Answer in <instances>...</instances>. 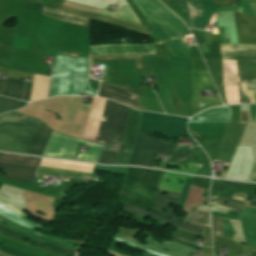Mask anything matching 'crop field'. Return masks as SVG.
I'll return each instance as SVG.
<instances>
[{
  "label": "crop field",
  "mask_w": 256,
  "mask_h": 256,
  "mask_svg": "<svg viewBox=\"0 0 256 256\" xmlns=\"http://www.w3.org/2000/svg\"><path fill=\"white\" fill-rule=\"evenodd\" d=\"M5 83H6L5 80H0V94H2V95L4 93Z\"/></svg>",
  "instance_id": "425ffa30"
},
{
  "label": "crop field",
  "mask_w": 256,
  "mask_h": 256,
  "mask_svg": "<svg viewBox=\"0 0 256 256\" xmlns=\"http://www.w3.org/2000/svg\"><path fill=\"white\" fill-rule=\"evenodd\" d=\"M223 59L237 60V58L256 59V46L221 44Z\"/></svg>",
  "instance_id": "bc2a9ffb"
},
{
  "label": "crop field",
  "mask_w": 256,
  "mask_h": 256,
  "mask_svg": "<svg viewBox=\"0 0 256 256\" xmlns=\"http://www.w3.org/2000/svg\"><path fill=\"white\" fill-rule=\"evenodd\" d=\"M0 241L7 243L9 245L15 246L17 248H20L22 250L28 251L30 253L39 255V256H60V255H56L38 248H35L33 246H30L26 243H23L21 241L15 240L13 238L7 237L5 235L0 234Z\"/></svg>",
  "instance_id": "ae1a2a85"
},
{
  "label": "crop field",
  "mask_w": 256,
  "mask_h": 256,
  "mask_svg": "<svg viewBox=\"0 0 256 256\" xmlns=\"http://www.w3.org/2000/svg\"><path fill=\"white\" fill-rule=\"evenodd\" d=\"M44 15L89 27V20H87V19L79 18L80 16L76 17L71 14L61 12V11H58L55 9H51L48 7L46 8Z\"/></svg>",
  "instance_id": "d3111659"
},
{
  "label": "crop field",
  "mask_w": 256,
  "mask_h": 256,
  "mask_svg": "<svg viewBox=\"0 0 256 256\" xmlns=\"http://www.w3.org/2000/svg\"><path fill=\"white\" fill-rule=\"evenodd\" d=\"M125 210H128L130 212H133V213H136V214H139L141 216H144V217H147L150 213V211H147L145 209H142V208H139V207H136V206H133L131 204H126Z\"/></svg>",
  "instance_id": "c035e120"
},
{
  "label": "crop field",
  "mask_w": 256,
  "mask_h": 256,
  "mask_svg": "<svg viewBox=\"0 0 256 256\" xmlns=\"http://www.w3.org/2000/svg\"><path fill=\"white\" fill-rule=\"evenodd\" d=\"M130 109L108 100L96 141L121 144ZM119 147L120 145L106 144L104 151L118 152ZM117 154L103 152L99 163L114 164Z\"/></svg>",
  "instance_id": "34b2d1b8"
},
{
  "label": "crop field",
  "mask_w": 256,
  "mask_h": 256,
  "mask_svg": "<svg viewBox=\"0 0 256 256\" xmlns=\"http://www.w3.org/2000/svg\"><path fill=\"white\" fill-rule=\"evenodd\" d=\"M173 235H175L177 237L187 238V239H190L195 242H196V237H197V235H195V234H189V233H183V232H177V231H174Z\"/></svg>",
  "instance_id": "c21b1889"
},
{
  "label": "crop field",
  "mask_w": 256,
  "mask_h": 256,
  "mask_svg": "<svg viewBox=\"0 0 256 256\" xmlns=\"http://www.w3.org/2000/svg\"><path fill=\"white\" fill-rule=\"evenodd\" d=\"M151 217L153 218H156L160 221H163V222H169L177 227H181V228H185V229H189V230H193V231H197V232H201L203 233L204 232V228L203 226H197V225H191V224H185V223H180L178 221H175L173 219H170L168 217H165V216H162L160 214H157L155 212L152 213Z\"/></svg>",
  "instance_id": "028f5c9d"
},
{
  "label": "crop field",
  "mask_w": 256,
  "mask_h": 256,
  "mask_svg": "<svg viewBox=\"0 0 256 256\" xmlns=\"http://www.w3.org/2000/svg\"><path fill=\"white\" fill-rule=\"evenodd\" d=\"M90 69V59H68L58 56L50 97L57 95H81L82 91L96 95L98 91L92 90L88 82V71Z\"/></svg>",
  "instance_id": "ac0d7876"
},
{
  "label": "crop field",
  "mask_w": 256,
  "mask_h": 256,
  "mask_svg": "<svg viewBox=\"0 0 256 256\" xmlns=\"http://www.w3.org/2000/svg\"><path fill=\"white\" fill-rule=\"evenodd\" d=\"M171 125L169 122H143L141 131L152 136H155V131L162 133L166 137L172 139L169 142L177 144L176 137H186L182 127H186L187 123L172 122ZM156 137V136H155ZM178 145V144H177Z\"/></svg>",
  "instance_id": "cbeb9de0"
},
{
  "label": "crop field",
  "mask_w": 256,
  "mask_h": 256,
  "mask_svg": "<svg viewBox=\"0 0 256 256\" xmlns=\"http://www.w3.org/2000/svg\"><path fill=\"white\" fill-rule=\"evenodd\" d=\"M246 123H229L222 139V142L217 150L216 158L224 160L227 162H231L241 135L243 133L244 127Z\"/></svg>",
  "instance_id": "3316defc"
},
{
  "label": "crop field",
  "mask_w": 256,
  "mask_h": 256,
  "mask_svg": "<svg viewBox=\"0 0 256 256\" xmlns=\"http://www.w3.org/2000/svg\"><path fill=\"white\" fill-rule=\"evenodd\" d=\"M148 21L159 31L168 49L179 57H189L182 42L183 33L191 34L184 22L159 0H134ZM138 7V8H139Z\"/></svg>",
  "instance_id": "8a807250"
},
{
  "label": "crop field",
  "mask_w": 256,
  "mask_h": 256,
  "mask_svg": "<svg viewBox=\"0 0 256 256\" xmlns=\"http://www.w3.org/2000/svg\"><path fill=\"white\" fill-rule=\"evenodd\" d=\"M212 79L208 71H193V63H190V87L202 90L210 86Z\"/></svg>",
  "instance_id": "eef30255"
},
{
  "label": "crop field",
  "mask_w": 256,
  "mask_h": 256,
  "mask_svg": "<svg viewBox=\"0 0 256 256\" xmlns=\"http://www.w3.org/2000/svg\"><path fill=\"white\" fill-rule=\"evenodd\" d=\"M52 133L39 126L27 153L42 155Z\"/></svg>",
  "instance_id": "4177f3b9"
},
{
  "label": "crop field",
  "mask_w": 256,
  "mask_h": 256,
  "mask_svg": "<svg viewBox=\"0 0 256 256\" xmlns=\"http://www.w3.org/2000/svg\"><path fill=\"white\" fill-rule=\"evenodd\" d=\"M191 182H192V180H189V179L186 180V184H185L183 194H182L180 204H179L182 207L184 206L186 197L188 195V192H189V189L191 186ZM163 191H165V190H161V189L158 190L155 200L153 202L156 205L155 206L152 205L150 207V210H153L155 212L161 213L163 215L169 216L171 218L177 219L182 222L184 217H182V218L176 217V215L173 213V209L168 207L171 202L178 205L181 194L169 191L170 194L167 196L160 195ZM163 208H166L169 211V213L166 214L164 212Z\"/></svg>",
  "instance_id": "28ad6ade"
},
{
  "label": "crop field",
  "mask_w": 256,
  "mask_h": 256,
  "mask_svg": "<svg viewBox=\"0 0 256 256\" xmlns=\"http://www.w3.org/2000/svg\"><path fill=\"white\" fill-rule=\"evenodd\" d=\"M21 102L22 101H18V100L0 96V113L9 111V110L22 108V107H20ZM23 103H25V102H23ZM25 104H27V103H25Z\"/></svg>",
  "instance_id": "0bd39190"
},
{
  "label": "crop field",
  "mask_w": 256,
  "mask_h": 256,
  "mask_svg": "<svg viewBox=\"0 0 256 256\" xmlns=\"http://www.w3.org/2000/svg\"><path fill=\"white\" fill-rule=\"evenodd\" d=\"M174 240V239H173ZM175 242H177V243H180V244H182V245H185V246H188V247H192V248H195V249H197V250H199L200 251V247H198V246H196V245H194V244H192V243H189V242H186V241H182V240H174Z\"/></svg>",
  "instance_id": "5d738f31"
},
{
  "label": "crop field",
  "mask_w": 256,
  "mask_h": 256,
  "mask_svg": "<svg viewBox=\"0 0 256 256\" xmlns=\"http://www.w3.org/2000/svg\"><path fill=\"white\" fill-rule=\"evenodd\" d=\"M176 145L140 133L129 164L153 167L156 153L173 155Z\"/></svg>",
  "instance_id": "f4fd0767"
},
{
  "label": "crop field",
  "mask_w": 256,
  "mask_h": 256,
  "mask_svg": "<svg viewBox=\"0 0 256 256\" xmlns=\"http://www.w3.org/2000/svg\"><path fill=\"white\" fill-rule=\"evenodd\" d=\"M245 199L246 195L240 192H237L232 200L213 196L211 197V205L240 212L249 203ZM224 201L230 202V204H223Z\"/></svg>",
  "instance_id": "a9b5d70f"
},
{
  "label": "crop field",
  "mask_w": 256,
  "mask_h": 256,
  "mask_svg": "<svg viewBox=\"0 0 256 256\" xmlns=\"http://www.w3.org/2000/svg\"><path fill=\"white\" fill-rule=\"evenodd\" d=\"M99 96L104 98H110L120 103L136 107L138 109H145L144 107L139 106L138 96H135L126 92H122L116 89H112L109 87H105L102 85H101Z\"/></svg>",
  "instance_id": "92a150f3"
},
{
  "label": "crop field",
  "mask_w": 256,
  "mask_h": 256,
  "mask_svg": "<svg viewBox=\"0 0 256 256\" xmlns=\"http://www.w3.org/2000/svg\"><path fill=\"white\" fill-rule=\"evenodd\" d=\"M24 85L20 83V80L9 78L6 83L4 95L22 99Z\"/></svg>",
  "instance_id": "5866460e"
},
{
  "label": "crop field",
  "mask_w": 256,
  "mask_h": 256,
  "mask_svg": "<svg viewBox=\"0 0 256 256\" xmlns=\"http://www.w3.org/2000/svg\"><path fill=\"white\" fill-rule=\"evenodd\" d=\"M222 105L220 97H202L201 91L191 90L190 117L210 106Z\"/></svg>",
  "instance_id": "214f88e0"
},
{
  "label": "crop field",
  "mask_w": 256,
  "mask_h": 256,
  "mask_svg": "<svg viewBox=\"0 0 256 256\" xmlns=\"http://www.w3.org/2000/svg\"><path fill=\"white\" fill-rule=\"evenodd\" d=\"M33 84H26L23 100L30 101Z\"/></svg>",
  "instance_id": "b54c1fbb"
},
{
  "label": "crop field",
  "mask_w": 256,
  "mask_h": 256,
  "mask_svg": "<svg viewBox=\"0 0 256 256\" xmlns=\"http://www.w3.org/2000/svg\"><path fill=\"white\" fill-rule=\"evenodd\" d=\"M254 173H256V168H255V172ZM252 181H256V178L254 180H252Z\"/></svg>",
  "instance_id": "0fb4a251"
},
{
  "label": "crop field",
  "mask_w": 256,
  "mask_h": 256,
  "mask_svg": "<svg viewBox=\"0 0 256 256\" xmlns=\"http://www.w3.org/2000/svg\"><path fill=\"white\" fill-rule=\"evenodd\" d=\"M228 123H190L189 129L203 139L221 140Z\"/></svg>",
  "instance_id": "5142ce71"
},
{
  "label": "crop field",
  "mask_w": 256,
  "mask_h": 256,
  "mask_svg": "<svg viewBox=\"0 0 256 256\" xmlns=\"http://www.w3.org/2000/svg\"><path fill=\"white\" fill-rule=\"evenodd\" d=\"M139 231V229H127V228H123V227H120L119 226V233L116 234V236L118 237H121V238H124L126 240H129L131 242H134V243H137L139 245H142V246H145V247H148V248H151V249H154V250H157L159 252H162V253H165V254H168V255H172V256H182V255H179V254H176V253H173V252H169V251H165V250H162V249H159L157 247H154V246H151L149 244H142L138 241H136L133 237L136 235V233Z\"/></svg>",
  "instance_id": "1d83c4d3"
},
{
  "label": "crop field",
  "mask_w": 256,
  "mask_h": 256,
  "mask_svg": "<svg viewBox=\"0 0 256 256\" xmlns=\"http://www.w3.org/2000/svg\"><path fill=\"white\" fill-rule=\"evenodd\" d=\"M171 59L189 61V58L171 57Z\"/></svg>",
  "instance_id": "25e5ab78"
},
{
  "label": "crop field",
  "mask_w": 256,
  "mask_h": 256,
  "mask_svg": "<svg viewBox=\"0 0 256 256\" xmlns=\"http://www.w3.org/2000/svg\"><path fill=\"white\" fill-rule=\"evenodd\" d=\"M215 7H236L238 0H214ZM217 11H241L256 17V0H239L237 8H215Z\"/></svg>",
  "instance_id": "4a817a6b"
},
{
  "label": "crop field",
  "mask_w": 256,
  "mask_h": 256,
  "mask_svg": "<svg viewBox=\"0 0 256 256\" xmlns=\"http://www.w3.org/2000/svg\"><path fill=\"white\" fill-rule=\"evenodd\" d=\"M163 174L162 171L129 167L124 186L153 198Z\"/></svg>",
  "instance_id": "d8731c3e"
},
{
  "label": "crop field",
  "mask_w": 256,
  "mask_h": 256,
  "mask_svg": "<svg viewBox=\"0 0 256 256\" xmlns=\"http://www.w3.org/2000/svg\"><path fill=\"white\" fill-rule=\"evenodd\" d=\"M144 233L149 235L145 241H147L149 243H152L154 245L160 246L162 248L173 250V251L179 252V253L187 255V256H189V254L191 252L195 253V251H196L194 249L179 245V244L174 243V242H164L163 244H161V243L154 240V235L152 233H149V232H146V231H144Z\"/></svg>",
  "instance_id": "750c4746"
},
{
  "label": "crop field",
  "mask_w": 256,
  "mask_h": 256,
  "mask_svg": "<svg viewBox=\"0 0 256 256\" xmlns=\"http://www.w3.org/2000/svg\"><path fill=\"white\" fill-rule=\"evenodd\" d=\"M250 256H253V255H250Z\"/></svg>",
  "instance_id": "1d79db26"
},
{
  "label": "crop field",
  "mask_w": 256,
  "mask_h": 256,
  "mask_svg": "<svg viewBox=\"0 0 256 256\" xmlns=\"http://www.w3.org/2000/svg\"><path fill=\"white\" fill-rule=\"evenodd\" d=\"M212 216L241 220L240 214L233 211H229L228 214L212 212ZM230 221L231 220L224 219V224H223V219L212 217L213 233L222 236V224H223V236L232 240L237 228L232 226L230 224Z\"/></svg>",
  "instance_id": "d9b57169"
},
{
  "label": "crop field",
  "mask_w": 256,
  "mask_h": 256,
  "mask_svg": "<svg viewBox=\"0 0 256 256\" xmlns=\"http://www.w3.org/2000/svg\"><path fill=\"white\" fill-rule=\"evenodd\" d=\"M192 26L191 28L205 29L215 13L213 0H188Z\"/></svg>",
  "instance_id": "d1516ede"
},
{
  "label": "crop field",
  "mask_w": 256,
  "mask_h": 256,
  "mask_svg": "<svg viewBox=\"0 0 256 256\" xmlns=\"http://www.w3.org/2000/svg\"><path fill=\"white\" fill-rule=\"evenodd\" d=\"M194 154H196V153L190 152V151H186V152H184V153H182V154H180V155L174 157L173 159H174L175 161H177V162H180V161H182V160H185V159H187V158L193 156Z\"/></svg>",
  "instance_id": "03da06ac"
},
{
  "label": "crop field",
  "mask_w": 256,
  "mask_h": 256,
  "mask_svg": "<svg viewBox=\"0 0 256 256\" xmlns=\"http://www.w3.org/2000/svg\"><path fill=\"white\" fill-rule=\"evenodd\" d=\"M99 13L103 14V15L113 17V18H116V19H119V20H124V21H128V22L143 26L141 24V22L138 20V18L135 16V14L132 12L130 7H128L126 5H124L122 7V9L117 14L112 13V12H108V11H105V10H102V9L100 10Z\"/></svg>",
  "instance_id": "bd1437ed"
},
{
  "label": "crop field",
  "mask_w": 256,
  "mask_h": 256,
  "mask_svg": "<svg viewBox=\"0 0 256 256\" xmlns=\"http://www.w3.org/2000/svg\"><path fill=\"white\" fill-rule=\"evenodd\" d=\"M231 117V109L227 107H216L210 110L203 111L194 116L191 122H229ZM199 118V121H194Z\"/></svg>",
  "instance_id": "dafd665d"
},
{
  "label": "crop field",
  "mask_w": 256,
  "mask_h": 256,
  "mask_svg": "<svg viewBox=\"0 0 256 256\" xmlns=\"http://www.w3.org/2000/svg\"><path fill=\"white\" fill-rule=\"evenodd\" d=\"M150 97L157 98L156 93H154L153 91L150 90Z\"/></svg>",
  "instance_id": "89e229c0"
},
{
  "label": "crop field",
  "mask_w": 256,
  "mask_h": 256,
  "mask_svg": "<svg viewBox=\"0 0 256 256\" xmlns=\"http://www.w3.org/2000/svg\"><path fill=\"white\" fill-rule=\"evenodd\" d=\"M251 121H256V105H251Z\"/></svg>",
  "instance_id": "d23c7cc5"
},
{
  "label": "crop field",
  "mask_w": 256,
  "mask_h": 256,
  "mask_svg": "<svg viewBox=\"0 0 256 256\" xmlns=\"http://www.w3.org/2000/svg\"><path fill=\"white\" fill-rule=\"evenodd\" d=\"M37 125L0 124V150L26 153Z\"/></svg>",
  "instance_id": "dd49c442"
},
{
  "label": "crop field",
  "mask_w": 256,
  "mask_h": 256,
  "mask_svg": "<svg viewBox=\"0 0 256 256\" xmlns=\"http://www.w3.org/2000/svg\"><path fill=\"white\" fill-rule=\"evenodd\" d=\"M37 174L43 175H52L62 178H69V177H81V178H91L92 173L89 172H81V171H74V170H66V169H59V168H52V167H44L41 166Z\"/></svg>",
  "instance_id": "730fd06b"
},
{
  "label": "crop field",
  "mask_w": 256,
  "mask_h": 256,
  "mask_svg": "<svg viewBox=\"0 0 256 256\" xmlns=\"http://www.w3.org/2000/svg\"><path fill=\"white\" fill-rule=\"evenodd\" d=\"M1 221L7 223L10 227L5 225V224H3V225H5V226H7V227H9V228H11L15 231H18L22 234H25L29 237H32L36 240L51 243V244H55V245H59V246H63V247H67V248H71V249H75V250L77 249V248L72 247V244L69 243V241H67V240H63V239L43 235V234L38 233L34 230L25 228V227L17 225V224H14V223H12V222H10V221H8V220H6V219H4L3 217L0 216V222Z\"/></svg>",
  "instance_id": "733c2abd"
},
{
  "label": "crop field",
  "mask_w": 256,
  "mask_h": 256,
  "mask_svg": "<svg viewBox=\"0 0 256 256\" xmlns=\"http://www.w3.org/2000/svg\"><path fill=\"white\" fill-rule=\"evenodd\" d=\"M0 233L8 235L10 237L16 238L18 239V237L22 234L15 232L3 225L0 224ZM25 236V235H22ZM27 237V236H25ZM29 238V237H27ZM32 239V238H30ZM19 240V239H18ZM33 241H36L34 239H32ZM38 242V246L44 249H47L49 251L55 252L57 254H61V255H65V256H76V251L75 250H71V249H67V248H63V247H59V246H55V245H51V244H47V243H43V242Z\"/></svg>",
  "instance_id": "00972430"
},
{
  "label": "crop field",
  "mask_w": 256,
  "mask_h": 256,
  "mask_svg": "<svg viewBox=\"0 0 256 256\" xmlns=\"http://www.w3.org/2000/svg\"><path fill=\"white\" fill-rule=\"evenodd\" d=\"M80 143L89 145L91 148L89 154H79L77 160L98 163L104 145L67 137L56 132L53 133L43 155L73 159Z\"/></svg>",
  "instance_id": "412701ff"
},
{
  "label": "crop field",
  "mask_w": 256,
  "mask_h": 256,
  "mask_svg": "<svg viewBox=\"0 0 256 256\" xmlns=\"http://www.w3.org/2000/svg\"><path fill=\"white\" fill-rule=\"evenodd\" d=\"M188 120L189 119L155 114V113H148V112L144 113V118H143V121H183V122H188Z\"/></svg>",
  "instance_id": "e1f06a70"
},
{
  "label": "crop field",
  "mask_w": 256,
  "mask_h": 256,
  "mask_svg": "<svg viewBox=\"0 0 256 256\" xmlns=\"http://www.w3.org/2000/svg\"><path fill=\"white\" fill-rule=\"evenodd\" d=\"M41 160L42 158H34V157L0 153V162L38 167ZM13 164L0 163V168L5 169L6 173H10L9 177H6V176H0V177L34 183L35 172L37 168L13 165Z\"/></svg>",
  "instance_id": "e52e79f7"
},
{
  "label": "crop field",
  "mask_w": 256,
  "mask_h": 256,
  "mask_svg": "<svg viewBox=\"0 0 256 256\" xmlns=\"http://www.w3.org/2000/svg\"><path fill=\"white\" fill-rule=\"evenodd\" d=\"M0 256H9V255H6V254H3V253H0Z\"/></svg>",
  "instance_id": "dbb93151"
},
{
  "label": "crop field",
  "mask_w": 256,
  "mask_h": 256,
  "mask_svg": "<svg viewBox=\"0 0 256 256\" xmlns=\"http://www.w3.org/2000/svg\"><path fill=\"white\" fill-rule=\"evenodd\" d=\"M0 247H1L0 252L6 253V254H9V255H12V256H33L31 254H28V253L16 250L14 248L5 246L1 243H0Z\"/></svg>",
  "instance_id": "b80d0937"
},
{
  "label": "crop field",
  "mask_w": 256,
  "mask_h": 256,
  "mask_svg": "<svg viewBox=\"0 0 256 256\" xmlns=\"http://www.w3.org/2000/svg\"><path fill=\"white\" fill-rule=\"evenodd\" d=\"M199 207H192L184 222L199 223L210 226L209 212L198 210Z\"/></svg>",
  "instance_id": "120bbe31"
},
{
  "label": "crop field",
  "mask_w": 256,
  "mask_h": 256,
  "mask_svg": "<svg viewBox=\"0 0 256 256\" xmlns=\"http://www.w3.org/2000/svg\"><path fill=\"white\" fill-rule=\"evenodd\" d=\"M239 81H256V60L238 59ZM240 91L251 101L256 102V82H239ZM241 104L250 102L242 93Z\"/></svg>",
  "instance_id": "5a996713"
},
{
  "label": "crop field",
  "mask_w": 256,
  "mask_h": 256,
  "mask_svg": "<svg viewBox=\"0 0 256 256\" xmlns=\"http://www.w3.org/2000/svg\"><path fill=\"white\" fill-rule=\"evenodd\" d=\"M156 54L154 44L109 45L92 47L91 55Z\"/></svg>",
  "instance_id": "22f410ed"
},
{
  "label": "crop field",
  "mask_w": 256,
  "mask_h": 256,
  "mask_svg": "<svg viewBox=\"0 0 256 256\" xmlns=\"http://www.w3.org/2000/svg\"><path fill=\"white\" fill-rule=\"evenodd\" d=\"M109 253H112V254H114V255H117V256H122V255H120V254H117V253H115V252H112V251H108Z\"/></svg>",
  "instance_id": "1f2cbd36"
},
{
  "label": "crop field",
  "mask_w": 256,
  "mask_h": 256,
  "mask_svg": "<svg viewBox=\"0 0 256 256\" xmlns=\"http://www.w3.org/2000/svg\"><path fill=\"white\" fill-rule=\"evenodd\" d=\"M248 207H256V201L253 200L249 205Z\"/></svg>",
  "instance_id": "73cf0c24"
},
{
  "label": "crop field",
  "mask_w": 256,
  "mask_h": 256,
  "mask_svg": "<svg viewBox=\"0 0 256 256\" xmlns=\"http://www.w3.org/2000/svg\"><path fill=\"white\" fill-rule=\"evenodd\" d=\"M0 214L18 222V223H21L23 225H26V226H29L31 228H34V229H40L42 227H40L38 224L20 216L19 214L11 211L10 209L4 207L3 205L0 204Z\"/></svg>",
  "instance_id": "d32e631a"
}]
</instances>
